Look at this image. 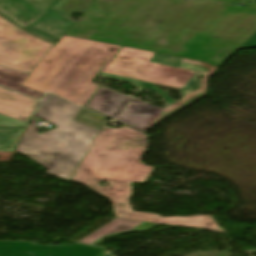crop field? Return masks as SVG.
<instances>
[{
	"mask_svg": "<svg viewBox=\"0 0 256 256\" xmlns=\"http://www.w3.org/2000/svg\"><path fill=\"white\" fill-rule=\"evenodd\" d=\"M94 1L67 35L208 62L219 68L256 32V3Z\"/></svg>",
	"mask_w": 256,
	"mask_h": 256,
	"instance_id": "crop-field-1",
	"label": "crop field"
},
{
	"mask_svg": "<svg viewBox=\"0 0 256 256\" xmlns=\"http://www.w3.org/2000/svg\"><path fill=\"white\" fill-rule=\"evenodd\" d=\"M149 138L127 126L119 129L103 126L71 180L86 184L107 196L113 203L116 217L223 233L210 215L162 218L131 211L128 202L131 195L130 183L145 182L152 169L139 162ZM99 180L108 181L110 187L98 185Z\"/></svg>",
	"mask_w": 256,
	"mask_h": 256,
	"instance_id": "crop-field-2",
	"label": "crop field"
},
{
	"mask_svg": "<svg viewBox=\"0 0 256 256\" xmlns=\"http://www.w3.org/2000/svg\"><path fill=\"white\" fill-rule=\"evenodd\" d=\"M216 70L206 63L123 47L100 75L161 94L166 108L159 109L133 99L116 119L144 132L162 118L206 96V79ZM198 77L203 78L199 80ZM151 83L180 89L181 100L171 99Z\"/></svg>",
	"mask_w": 256,
	"mask_h": 256,
	"instance_id": "crop-field-3",
	"label": "crop field"
},
{
	"mask_svg": "<svg viewBox=\"0 0 256 256\" xmlns=\"http://www.w3.org/2000/svg\"><path fill=\"white\" fill-rule=\"evenodd\" d=\"M120 48L65 36L20 85L42 93L51 91L84 106L99 88L91 81Z\"/></svg>",
	"mask_w": 256,
	"mask_h": 256,
	"instance_id": "crop-field-4",
	"label": "crop field"
},
{
	"mask_svg": "<svg viewBox=\"0 0 256 256\" xmlns=\"http://www.w3.org/2000/svg\"><path fill=\"white\" fill-rule=\"evenodd\" d=\"M81 107L46 93L35 116L58 128L37 132L33 119L14 151L70 180L98 131L72 120Z\"/></svg>",
	"mask_w": 256,
	"mask_h": 256,
	"instance_id": "crop-field-5",
	"label": "crop field"
},
{
	"mask_svg": "<svg viewBox=\"0 0 256 256\" xmlns=\"http://www.w3.org/2000/svg\"><path fill=\"white\" fill-rule=\"evenodd\" d=\"M3 18L0 16V65L29 74L54 45L20 31Z\"/></svg>",
	"mask_w": 256,
	"mask_h": 256,
	"instance_id": "crop-field-6",
	"label": "crop field"
},
{
	"mask_svg": "<svg viewBox=\"0 0 256 256\" xmlns=\"http://www.w3.org/2000/svg\"><path fill=\"white\" fill-rule=\"evenodd\" d=\"M93 0H0V14L25 28L53 9L67 17L82 13Z\"/></svg>",
	"mask_w": 256,
	"mask_h": 256,
	"instance_id": "crop-field-7",
	"label": "crop field"
},
{
	"mask_svg": "<svg viewBox=\"0 0 256 256\" xmlns=\"http://www.w3.org/2000/svg\"><path fill=\"white\" fill-rule=\"evenodd\" d=\"M104 249L76 243L47 247L28 242H0V256H101Z\"/></svg>",
	"mask_w": 256,
	"mask_h": 256,
	"instance_id": "crop-field-8",
	"label": "crop field"
},
{
	"mask_svg": "<svg viewBox=\"0 0 256 256\" xmlns=\"http://www.w3.org/2000/svg\"><path fill=\"white\" fill-rule=\"evenodd\" d=\"M38 103L0 88V126L25 128Z\"/></svg>",
	"mask_w": 256,
	"mask_h": 256,
	"instance_id": "crop-field-9",
	"label": "crop field"
},
{
	"mask_svg": "<svg viewBox=\"0 0 256 256\" xmlns=\"http://www.w3.org/2000/svg\"><path fill=\"white\" fill-rule=\"evenodd\" d=\"M74 22L51 10L25 28V30L55 44Z\"/></svg>",
	"mask_w": 256,
	"mask_h": 256,
	"instance_id": "crop-field-10",
	"label": "crop field"
},
{
	"mask_svg": "<svg viewBox=\"0 0 256 256\" xmlns=\"http://www.w3.org/2000/svg\"><path fill=\"white\" fill-rule=\"evenodd\" d=\"M153 225V223L117 218L99 230L88 235L86 238L81 240L80 243L94 245L109 235L122 234L132 231H144Z\"/></svg>",
	"mask_w": 256,
	"mask_h": 256,
	"instance_id": "crop-field-11",
	"label": "crop field"
},
{
	"mask_svg": "<svg viewBox=\"0 0 256 256\" xmlns=\"http://www.w3.org/2000/svg\"><path fill=\"white\" fill-rule=\"evenodd\" d=\"M130 99L131 97L117 94L102 87L89 101L86 107L116 118Z\"/></svg>",
	"mask_w": 256,
	"mask_h": 256,
	"instance_id": "crop-field-12",
	"label": "crop field"
},
{
	"mask_svg": "<svg viewBox=\"0 0 256 256\" xmlns=\"http://www.w3.org/2000/svg\"><path fill=\"white\" fill-rule=\"evenodd\" d=\"M27 74L20 73L0 66V86L12 89L14 91L41 99L43 94L31 89L19 86L27 77Z\"/></svg>",
	"mask_w": 256,
	"mask_h": 256,
	"instance_id": "crop-field-13",
	"label": "crop field"
},
{
	"mask_svg": "<svg viewBox=\"0 0 256 256\" xmlns=\"http://www.w3.org/2000/svg\"><path fill=\"white\" fill-rule=\"evenodd\" d=\"M25 129L0 127V151H13Z\"/></svg>",
	"mask_w": 256,
	"mask_h": 256,
	"instance_id": "crop-field-14",
	"label": "crop field"
},
{
	"mask_svg": "<svg viewBox=\"0 0 256 256\" xmlns=\"http://www.w3.org/2000/svg\"><path fill=\"white\" fill-rule=\"evenodd\" d=\"M75 120L99 131L105 121V118L82 109L76 116Z\"/></svg>",
	"mask_w": 256,
	"mask_h": 256,
	"instance_id": "crop-field-15",
	"label": "crop field"
},
{
	"mask_svg": "<svg viewBox=\"0 0 256 256\" xmlns=\"http://www.w3.org/2000/svg\"><path fill=\"white\" fill-rule=\"evenodd\" d=\"M256 48V33L240 48Z\"/></svg>",
	"mask_w": 256,
	"mask_h": 256,
	"instance_id": "crop-field-16",
	"label": "crop field"
}]
</instances>
